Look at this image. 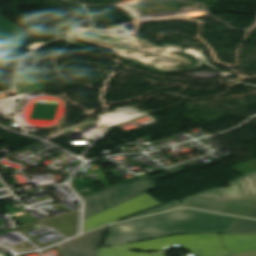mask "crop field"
I'll list each match as a JSON object with an SVG mask.
<instances>
[{
  "label": "crop field",
  "mask_w": 256,
  "mask_h": 256,
  "mask_svg": "<svg viewBox=\"0 0 256 256\" xmlns=\"http://www.w3.org/2000/svg\"><path fill=\"white\" fill-rule=\"evenodd\" d=\"M238 220L220 214L178 210L113 224L104 246L179 233H230Z\"/></svg>",
  "instance_id": "obj_1"
},
{
  "label": "crop field",
  "mask_w": 256,
  "mask_h": 256,
  "mask_svg": "<svg viewBox=\"0 0 256 256\" xmlns=\"http://www.w3.org/2000/svg\"><path fill=\"white\" fill-rule=\"evenodd\" d=\"M172 244H182L197 256H222L256 250V235L244 234H184L116 245L142 251L162 250Z\"/></svg>",
  "instance_id": "obj_2"
},
{
  "label": "crop field",
  "mask_w": 256,
  "mask_h": 256,
  "mask_svg": "<svg viewBox=\"0 0 256 256\" xmlns=\"http://www.w3.org/2000/svg\"><path fill=\"white\" fill-rule=\"evenodd\" d=\"M228 184L230 188L210 190L183 199V205L246 217L256 205V172Z\"/></svg>",
  "instance_id": "obj_3"
},
{
  "label": "crop field",
  "mask_w": 256,
  "mask_h": 256,
  "mask_svg": "<svg viewBox=\"0 0 256 256\" xmlns=\"http://www.w3.org/2000/svg\"><path fill=\"white\" fill-rule=\"evenodd\" d=\"M186 171V169L180 165L168 170H165L167 175L175 174L178 172ZM165 175V176H167ZM164 177V176H161ZM160 178V177H158ZM151 177L147 176L117 187H113L86 197H83L85 204L84 218L125 202L141 193L154 189V178L150 182ZM157 180V179H156Z\"/></svg>",
  "instance_id": "obj_4"
},
{
  "label": "crop field",
  "mask_w": 256,
  "mask_h": 256,
  "mask_svg": "<svg viewBox=\"0 0 256 256\" xmlns=\"http://www.w3.org/2000/svg\"><path fill=\"white\" fill-rule=\"evenodd\" d=\"M158 205L161 204L148 194H141L125 203L117 205L119 208L112 207L84 219L83 231L90 230L106 223L119 221Z\"/></svg>",
  "instance_id": "obj_5"
},
{
  "label": "crop field",
  "mask_w": 256,
  "mask_h": 256,
  "mask_svg": "<svg viewBox=\"0 0 256 256\" xmlns=\"http://www.w3.org/2000/svg\"><path fill=\"white\" fill-rule=\"evenodd\" d=\"M107 226L58 245L64 256H95ZM100 247V246H99Z\"/></svg>",
  "instance_id": "obj_6"
},
{
  "label": "crop field",
  "mask_w": 256,
  "mask_h": 256,
  "mask_svg": "<svg viewBox=\"0 0 256 256\" xmlns=\"http://www.w3.org/2000/svg\"><path fill=\"white\" fill-rule=\"evenodd\" d=\"M28 33L0 17V46L19 49L30 37Z\"/></svg>",
  "instance_id": "obj_7"
},
{
  "label": "crop field",
  "mask_w": 256,
  "mask_h": 256,
  "mask_svg": "<svg viewBox=\"0 0 256 256\" xmlns=\"http://www.w3.org/2000/svg\"><path fill=\"white\" fill-rule=\"evenodd\" d=\"M165 252H157L151 254L131 252L121 248H100L97 256H164Z\"/></svg>",
  "instance_id": "obj_8"
},
{
  "label": "crop field",
  "mask_w": 256,
  "mask_h": 256,
  "mask_svg": "<svg viewBox=\"0 0 256 256\" xmlns=\"http://www.w3.org/2000/svg\"><path fill=\"white\" fill-rule=\"evenodd\" d=\"M231 233L256 234V221L240 218Z\"/></svg>",
  "instance_id": "obj_9"
},
{
  "label": "crop field",
  "mask_w": 256,
  "mask_h": 256,
  "mask_svg": "<svg viewBox=\"0 0 256 256\" xmlns=\"http://www.w3.org/2000/svg\"><path fill=\"white\" fill-rule=\"evenodd\" d=\"M230 169L244 175L256 171V159H250L240 164L229 167Z\"/></svg>",
  "instance_id": "obj_10"
},
{
  "label": "crop field",
  "mask_w": 256,
  "mask_h": 256,
  "mask_svg": "<svg viewBox=\"0 0 256 256\" xmlns=\"http://www.w3.org/2000/svg\"><path fill=\"white\" fill-rule=\"evenodd\" d=\"M177 207H182L181 204L177 201L165 204V205H161L158 206L156 208L150 209L148 211L142 212L140 214L134 215L130 218H135V217H139V216H144V215H149V214H154V213H158V212H162V211H167V210H171L173 208H177ZM128 218V219H130Z\"/></svg>",
  "instance_id": "obj_11"
},
{
  "label": "crop field",
  "mask_w": 256,
  "mask_h": 256,
  "mask_svg": "<svg viewBox=\"0 0 256 256\" xmlns=\"http://www.w3.org/2000/svg\"><path fill=\"white\" fill-rule=\"evenodd\" d=\"M228 256H256V251L248 252V253L235 254V255H228Z\"/></svg>",
  "instance_id": "obj_12"
},
{
  "label": "crop field",
  "mask_w": 256,
  "mask_h": 256,
  "mask_svg": "<svg viewBox=\"0 0 256 256\" xmlns=\"http://www.w3.org/2000/svg\"><path fill=\"white\" fill-rule=\"evenodd\" d=\"M247 217L256 219V207L248 214Z\"/></svg>",
  "instance_id": "obj_13"
},
{
  "label": "crop field",
  "mask_w": 256,
  "mask_h": 256,
  "mask_svg": "<svg viewBox=\"0 0 256 256\" xmlns=\"http://www.w3.org/2000/svg\"><path fill=\"white\" fill-rule=\"evenodd\" d=\"M0 250H6L5 248H3V247H0Z\"/></svg>",
  "instance_id": "obj_14"
}]
</instances>
